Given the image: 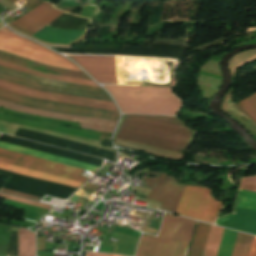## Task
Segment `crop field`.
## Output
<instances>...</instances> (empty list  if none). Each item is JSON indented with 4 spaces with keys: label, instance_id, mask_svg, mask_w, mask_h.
Here are the masks:
<instances>
[{
    "label": "crop field",
    "instance_id": "8",
    "mask_svg": "<svg viewBox=\"0 0 256 256\" xmlns=\"http://www.w3.org/2000/svg\"><path fill=\"white\" fill-rule=\"evenodd\" d=\"M0 162L84 183V170L0 149Z\"/></svg>",
    "mask_w": 256,
    "mask_h": 256
},
{
    "label": "crop field",
    "instance_id": "21",
    "mask_svg": "<svg viewBox=\"0 0 256 256\" xmlns=\"http://www.w3.org/2000/svg\"><path fill=\"white\" fill-rule=\"evenodd\" d=\"M0 65H4V66L10 67V68H14V69H17V70H21V71H24V72H28V73L35 74V75L42 76V77H46V78H52V79H57V80H62V81H68V82L80 83V84H85V85L97 86L94 82L48 75V74H44V73H40V72H37V71L30 70V69H26V68H23V67H19V66H16V65H12V64H9V63H6V62H2V61H0Z\"/></svg>",
    "mask_w": 256,
    "mask_h": 256
},
{
    "label": "crop field",
    "instance_id": "23",
    "mask_svg": "<svg viewBox=\"0 0 256 256\" xmlns=\"http://www.w3.org/2000/svg\"><path fill=\"white\" fill-rule=\"evenodd\" d=\"M0 197L7 198V199H10V200H14V201H18V202H22V203H26V204H30V205L43 207V208H46L48 210L51 208V206H48V205H45V204H42V203H38V202H34V201L22 199V198H16V197L4 195V194H0Z\"/></svg>",
    "mask_w": 256,
    "mask_h": 256
},
{
    "label": "crop field",
    "instance_id": "16",
    "mask_svg": "<svg viewBox=\"0 0 256 256\" xmlns=\"http://www.w3.org/2000/svg\"><path fill=\"white\" fill-rule=\"evenodd\" d=\"M0 148L27 154V155H31V156H35V157H39V158H43V159H47V160H51V161H55V162H59V163H63V164H67V165H71V166H75V167H79V168H83V169L94 171V172H96L97 167L99 168V166H95V165H91V164H87V163L51 155L48 153L20 147V146H16V145L4 143V142H0Z\"/></svg>",
    "mask_w": 256,
    "mask_h": 256
},
{
    "label": "crop field",
    "instance_id": "6",
    "mask_svg": "<svg viewBox=\"0 0 256 256\" xmlns=\"http://www.w3.org/2000/svg\"><path fill=\"white\" fill-rule=\"evenodd\" d=\"M239 188L256 191V176L243 178ZM241 189L238 191L235 206L256 209V192ZM238 207L234 208L233 214L217 220L215 224L256 235V210Z\"/></svg>",
    "mask_w": 256,
    "mask_h": 256
},
{
    "label": "crop field",
    "instance_id": "15",
    "mask_svg": "<svg viewBox=\"0 0 256 256\" xmlns=\"http://www.w3.org/2000/svg\"><path fill=\"white\" fill-rule=\"evenodd\" d=\"M209 226L208 224L198 223L189 256H201ZM223 230V228L210 226L202 256H216Z\"/></svg>",
    "mask_w": 256,
    "mask_h": 256
},
{
    "label": "crop field",
    "instance_id": "26",
    "mask_svg": "<svg viewBox=\"0 0 256 256\" xmlns=\"http://www.w3.org/2000/svg\"><path fill=\"white\" fill-rule=\"evenodd\" d=\"M249 256H256V236L254 237Z\"/></svg>",
    "mask_w": 256,
    "mask_h": 256
},
{
    "label": "crop field",
    "instance_id": "17",
    "mask_svg": "<svg viewBox=\"0 0 256 256\" xmlns=\"http://www.w3.org/2000/svg\"><path fill=\"white\" fill-rule=\"evenodd\" d=\"M84 34H86V31L82 33L57 31L47 25L33 36L53 43L70 44Z\"/></svg>",
    "mask_w": 256,
    "mask_h": 256
},
{
    "label": "crop field",
    "instance_id": "1",
    "mask_svg": "<svg viewBox=\"0 0 256 256\" xmlns=\"http://www.w3.org/2000/svg\"><path fill=\"white\" fill-rule=\"evenodd\" d=\"M194 134L177 118L124 115L116 138L183 152L190 146Z\"/></svg>",
    "mask_w": 256,
    "mask_h": 256
},
{
    "label": "crop field",
    "instance_id": "28",
    "mask_svg": "<svg viewBox=\"0 0 256 256\" xmlns=\"http://www.w3.org/2000/svg\"><path fill=\"white\" fill-rule=\"evenodd\" d=\"M108 256H118V255H112V254H109Z\"/></svg>",
    "mask_w": 256,
    "mask_h": 256
},
{
    "label": "crop field",
    "instance_id": "19",
    "mask_svg": "<svg viewBox=\"0 0 256 256\" xmlns=\"http://www.w3.org/2000/svg\"><path fill=\"white\" fill-rule=\"evenodd\" d=\"M18 256H35V234L20 228Z\"/></svg>",
    "mask_w": 256,
    "mask_h": 256
},
{
    "label": "crop field",
    "instance_id": "14",
    "mask_svg": "<svg viewBox=\"0 0 256 256\" xmlns=\"http://www.w3.org/2000/svg\"><path fill=\"white\" fill-rule=\"evenodd\" d=\"M70 57L81 65L96 81L117 84L115 57Z\"/></svg>",
    "mask_w": 256,
    "mask_h": 256
},
{
    "label": "crop field",
    "instance_id": "11",
    "mask_svg": "<svg viewBox=\"0 0 256 256\" xmlns=\"http://www.w3.org/2000/svg\"><path fill=\"white\" fill-rule=\"evenodd\" d=\"M0 107H4V108L14 110V111H18V112L44 116V117H50V118H55V119H61V120H67V121H73V122H79V123L109 127L111 129H105V128H102V127L80 124V127H83V128L107 131V132H111V133L113 132L114 127L117 123L115 121H109V120H103V119H96V118H88V117H80V116H73V115H67V114L46 112V111H42V110H38V109H34V108L22 106V105H18V104H14V103L2 101V100H0Z\"/></svg>",
    "mask_w": 256,
    "mask_h": 256
},
{
    "label": "crop field",
    "instance_id": "10",
    "mask_svg": "<svg viewBox=\"0 0 256 256\" xmlns=\"http://www.w3.org/2000/svg\"><path fill=\"white\" fill-rule=\"evenodd\" d=\"M143 174L157 175L156 178L142 179L144 185L153 187L147 200L160 203L161 209L174 212L185 186L173 183L175 178L166 176V173L144 172Z\"/></svg>",
    "mask_w": 256,
    "mask_h": 256
},
{
    "label": "crop field",
    "instance_id": "25",
    "mask_svg": "<svg viewBox=\"0 0 256 256\" xmlns=\"http://www.w3.org/2000/svg\"><path fill=\"white\" fill-rule=\"evenodd\" d=\"M0 191H1V192L8 193V194L16 195V196H19V197L27 198V199H32V200L41 201L40 198H36V197H32V196H28V195H24V194L12 192V191L4 190V189H1Z\"/></svg>",
    "mask_w": 256,
    "mask_h": 256
},
{
    "label": "crop field",
    "instance_id": "20",
    "mask_svg": "<svg viewBox=\"0 0 256 256\" xmlns=\"http://www.w3.org/2000/svg\"><path fill=\"white\" fill-rule=\"evenodd\" d=\"M253 237L239 232L232 256H248Z\"/></svg>",
    "mask_w": 256,
    "mask_h": 256
},
{
    "label": "crop field",
    "instance_id": "12",
    "mask_svg": "<svg viewBox=\"0 0 256 256\" xmlns=\"http://www.w3.org/2000/svg\"><path fill=\"white\" fill-rule=\"evenodd\" d=\"M0 88L10 90L13 92H17L20 94H24L27 96H31V97H36V98H42V99H48V100H54V101L79 104V105H85V106H91V107H97V108H103V109L117 111L114 103L36 91V90H32L29 88H25V87L15 85L12 83H8L5 81H1V80H0Z\"/></svg>",
    "mask_w": 256,
    "mask_h": 256
},
{
    "label": "crop field",
    "instance_id": "22",
    "mask_svg": "<svg viewBox=\"0 0 256 256\" xmlns=\"http://www.w3.org/2000/svg\"><path fill=\"white\" fill-rule=\"evenodd\" d=\"M232 107L256 122V94Z\"/></svg>",
    "mask_w": 256,
    "mask_h": 256
},
{
    "label": "crop field",
    "instance_id": "5",
    "mask_svg": "<svg viewBox=\"0 0 256 256\" xmlns=\"http://www.w3.org/2000/svg\"><path fill=\"white\" fill-rule=\"evenodd\" d=\"M0 79L36 90L112 102L100 88L46 79L0 66Z\"/></svg>",
    "mask_w": 256,
    "mask_h": 256
},
{
    "label": "crop field",
    "instance_id": "4",
    "mask_svg": "<svg viewBox=\"0 0 256 256\" xmlns=\"http://www.w3.org/2000/svg\"><path fill=\"white\" fill-rule=\"evenodd\" d=\"M195 222L165 213L158 238L142 233L136 256H185Z\"/></svg>",
    "mask_w": 256,
    "mask_h": 256
},
{
    "label": "crop field",
    "instance_id": "13",
    "mask_svg": "<svg viewBox=\"0 0 256 256\" xmlns=\"http://www.w3.org/2000/svg\"><path fill=\"white\" fill-rule=\"evenodd\" d=\"M63 13L64 12L54 9L51 4L44 2L22 18L10 24L15 26L18 30L32 35Z\"/></svg>",
    "mask_w": 256,
    "mask_h": 256
},
{
    "label": "crop field",
    "instance_id": "24",
    "mask_svg": "<svg viewBox=\"0 0 256 256\" xmlns=\"http://www.w3.org/2000/svg\"><path fill=\"white\" fill-rule=\"evenodd\" d=\"M12 3H17L19 0H8ZM27 2L25 4H23V6L27 7V8H32L35 5H37L39 2H41L42 0H26Z\"/></svg>",
    "mask_w": 256,
    "mask_h": 256
},
{
    "label": "crop field",
    "instance_id": "18",
    "mask_svg": "<svg viewBox=\"0 0 256 256\" xmlns=\"http://www.w3.org/2000/svg\"><path fill=\"white\" fill-rule=\"evenodd\" d=\"M0 169L10 171V172H14V173H18V174H22V175H26V176H31V177H35V178H40V179H44V180H49V181H53V182L66 184V185L73 186V187H76V188H78L79 186L82 185V183H78V182L58 178V177H55V176H51V175H47V174H43V173L31 171V170H27V169H24V168L8 165V164H4V163H0Z\"/></svg>",
    "mask_w": 256,
    "mask_h": 256
},
{
    "label": "crop field",
    "instance_id": "7",
    "mask_svg": "<svg viewBox=\"0 0 256 256\" xmlns=\"http://www.w3.org/2000/svg\"><path fill=\"white\" fill-rule=\"evenodd\" d=\"M220 206L208 189L186 186L175 213L214 223Z\"/></svg>",
    "mask_w": 256,
    "mask_h": 256
},
{
    "label": "crop field",
    "instance_id": "27",
    "mask_svg": "<svg viewBox=\"0 0 256 256\" xmlns=\"http://www.w3.org/2000/svg\"><path fill=\"white\" fill-rule=\"evenodd\" d=\"M108 254L103 253H87L86 256H107Z\"/></svg>",
    "mask_w": 256,
    "mask_h": 256
},
{
    "label": "crop field",
    "instance_id": "3",
    "mask_svg": "<svg viewBox=\"0 0 256 256\" xmlns=\"http://www.w3.org/2000/svg\"><path fill=\"white\" fill-rule=\"evenodd\" d=\"M123 113L175 115L181 102L170 88L104 85Z\"/></svg>",
    "mask_w": 256,
    "mask_h": 256
},
{
    "label": "crop field",
    "instance_id": "2",
    "mask_svg": "<svg viewBox=\"0 0 256 256\" xmlns=\"http://www.w3.org/2000/svg\"><path fill=\"white\" fill-rule=\"evenodd\" d=\"M0 50L27 57L48 65L78 69L64 57L26 39L0 29ZM0 60L34 69L40 72L90 80L82 71L44 65L0 51Z\"/></svg>",
    "mask_w": 256,
    "mask_h": 256
},
{
    "label": "crop field",
    "instance_id": "9",
    "mask_svg": "<svg viewBox=\"0 0 256 256\" xmlns=\"http://www.w3.org/2000/svg\"><path fill=\"white\" fill-rule=\"evenodd\" d=\"M0 99L8 100L11 102H15V103H19V104H23L31 107L54 110V111H59V112L69 113V114L97 117V118H103V119H109V120H115V121H117L119 118V113L115 111L102 110V109H96V108H89V107L35 99V98L27 97L24 95H20L17 93H13L10 91H6L3 89H0Z\"/></svg>",
    "mask_w": 256,
    "mask_h": 256
}]
</instances>
